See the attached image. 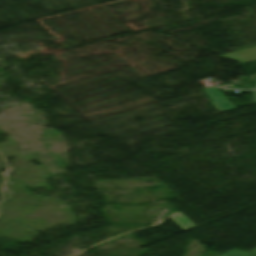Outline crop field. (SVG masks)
<instances>
[{
	"mask_svg": "<svg viewBox=\"0 0 256 256\" xmlns=\"http://www.w3.org/2000/svg\"><path fill=\"white\" fill-rule=\"evenodd\" d=\"M209 97L213 100L211 103L216 107L219 112L234 109L235 107L229 102V100L214 87L204 90Z\"/></svg>",
	"mask_w": 256,
	"mask_h": 256,
	"instance_id": "1",
	"label": "crop field"
},
{
	"mask_svg": "<svg viewBox=\"0 0 256 256\" xmlns=\"http://www.w3.org/2000/svg\"><path fill=\"white\" fill-rule=\"evenodd\" d=\"M220 58L222 59L229 58L237 63L250 61V60L256 59V46L243 49L237 52H233V53L221 56Z\"/></svg>",
	"mask_w": 256,
	"mask_h": 256,
	"instance_id": "2",
	"label": "crop field"
},
{
	"mask_svg": "<svg viewBox=\"0 0 256 256\" xmlns=\"http://www.w3.org/2000/svg\"><path fill=\"white\" fill-rule=\"evenodd\" d=\"M221 256H256L255 254H251V253H248V252H244V251H240V250H236V249H233Z\"/></svg>",
	"mask_w": 256,
	"mask_h": 256,
	"instance_id": "3",
	"label": "crop field"
},
{
	"mask_svg": "<svg viewBox=\"0 0 256 256\" xmlns=\"http://www.w3.org/2000/svg\"><path fill=\"white\" fill-rule=\"evenodd\" d=\"M256 103V90H253L252 104Z\"/></svg>",
	"mask_w": 256,
	"mask_h": 256,
	"instance_id": "4",
	"label": "crop field"
},
{
	"mask_svg": "<svg viewBox=\"0 0 256 256\" xmlns=\"http://www.w3.org/2000/svg\"><path fill=\"white\" fill-rule=\"evenodd\" d=\"M252 253H256V249L252 251Z\"/></svg>",
	"mask_w": 256,
	"mask_h": 256,
	"instance_id": "5",
	"label": "crop field"
},
{
	"mask_svg": "<svg viewBox=\"0 0 256 256\" xmlns=\"http://www.w3.org/2000/svg\"><path fill=\"white\" fill-rule=\"evenodd\" d=\"M253 88H256V84H255V86Z\"/></svg>",
	"mask_w": 256,
	"mask_h": 256,
	"instance_id": "6",
	"label": "crop field"
}]
</instances>
